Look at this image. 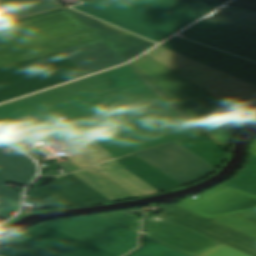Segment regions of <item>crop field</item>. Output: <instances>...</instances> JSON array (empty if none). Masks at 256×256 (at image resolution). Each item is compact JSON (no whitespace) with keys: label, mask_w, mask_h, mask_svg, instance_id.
<instances>
[{"label":"crop field","mask_w":256,"mask_h":256,"mask_svg":"<svg viewBox=\"0 0 256 256\" xmlns=\"http://www.w3.org/2000/svg\"><path fill=\"white\" fill-rule=\"evenodd\" d=\"M0 132L35 159L57 140L71 172L203 130L128 64L0 105Z\"/></svg>","instance_id":"crop-field-1"},{"label":"crop field","mask_w":256,"mask_h":256,"mask_svg":"<svg viewBox=\"0 0 256 256\" xmlns=\"http://www.w3.org/2000/svg\"><path fill=\"white\" fill-rule=\"evenodd\" d=\"M130 64L218 145H230L237 130L255 121L145 55Z\"/></svg>","instance_id":"crop-field-2"},{"label":"crop field","mask_w":256,"mask_h":256,"mask_svg":"<svg viewBox=\"0 0 256 256\" xmlns=\"http://www.w3.org/2000/svg\"><path fill=\"white\" fill-rule=\"evenodd\" d=\"M72 8L157 42L202 17L175 0H91Z\"/></svg>","instance_id":"crop-field-3"},{"label":"crop field","mask_w":256,"mask_h":256,"mask_svg":"<svg viewBox=\"0 0 256 256\" xmlns=\"http://www.w3.org/2000/svg\"><path fill=\"white\" fill-rule=\"evenodd\" d=\"M148 57L256 120V85L161 46Z\"/></svg>","instance_id":"crop-field-4"},{"label":"crop field","mask_w":256,"mask_h":256,"mask_svg":"<svg viewBox=\"0 0 256 256\" xmlns=\"http://www.w3.org/2000/svg\"><path fill=\"white\" fill-rule=\"evenodd\" d=\"M86 75L60 51L0 68V103Z\"/></svg>","instance_id":"crop-field-5"},{"label":"crop field","mask_w":256,"mask_h":256,"mask_svg":"<svg viewBox=\"0 0 256 256\" xmlns=\"http://www.w3.org/2000/svg\"><path fill=\"white\" fill-rule=\"evenodd\" d=\"M66 7L0 25V52L87 29Z\"/></svg>","instance_id":"crop-field-6"},{"label":"crop field","mask_w":256,"mask_h":256,"mask_svg":"<svg viewBox=\"0 0 256 256\" xmlns=\"http://www.w3.org/2000/svg\"><path fill=\"white\" fill-rule=\"evenodd\" d=\"M44 224L120 256L138 245L137 234L96 216L70 218Z\"/></svg>","instance_id":"crop-field-7"},{"label":"crop field","mask_w":256,"mask_h":256,"mask_svg":"<svg viewBox=\"0 0 256 256\" xmlns=\"http://www.w3.org/2000/svg\"><path fill=\"white\" fill-rule=\"evenodd\" d=\"M135 154L183 185L213 172L211 165L175 143Z\"/></svg>","instance_id":"crop-field-8"},{"label":"crop field","mask_w":256,"mask_h":256,"mask_svg":"<svg viewBox=\"0 0 256 256\" xmlns=\"http://www.w3.org/2000/svg\"><path fill=\"white\" fill-rule=\"evenodd\" d=\"M177 205L208 219L256 210V194L220 184Z\"/></svg>","instance_id":"crop-field-9"},{"label":"crop field","mask_w":256,"mask_h":256,"mask_svg":"<svg viewBox=\"0 0 256 256\" xmlns=\"http://www.w3.org/2000/svg\"><path fill=\"white\" fill-rule=\"evenodd\" d=\"M164 213L157 215L241 252L256 256V240L192 213L177 205H160Z\"/></svg>","instance_id":"crop-field-10"},{"label":"crop field","mask_w":256,"mask_h":256,"mask_svg":"<svg viewBox=\"0 0 256 256\" xmlns=\"http://www.w3.org/2000/svg\"><path fill=\"white\" fill-rule=\"evenodd\" d=\"M185 38L256 61V32L198 22L181 32Z\"/></svg>","instance_id":"crop-field-11"},{"label":"crop field","mask_w":256,"mask_h":256,"mask_svg":"<svg viewBox=\"0 0 256 256\" xmlns=\"http://www.w3.org/2000/svg\"><path fill=\"white\" fill-rule=\"evenodd\" d=\"M42 208L110 202L72 173L57 177L53 182L34 190Z\"/></svg>","instance_id":"crop-field-12"},{"label":"crop field","mask_w":256,"mask_h":256,"mask_svg":"<svg viewBox=\"0 0 256 256\" xmlns=\"http://www.w3.org/2000/svg\"><path fill=\"white\" fill-rule=\"evenodd\" d=\"M161 46L256 84V63L177 36L168 40Z\"/></svg>","instance_id":"crop-field-13"},{"label":"crop field","mask_w":256,"mask_h":256,"mask_svg":"<svg viewBox=\"0 0 256 256\" xmlns=\"http://www.w3.org/2000/svg\"><path fill=\"white\" fill-rule=\"evenodd\" d=\"M14 238L65 256H118L44 224Z\"/></svg>","instance_id":"crop-field-14"},{"label":"crop field","mask_w":256,"mask_h":256,"mask_svg":"<svg viewBox=\"0 0 256 256\" xmlns=\"http://www.w3.org/2000/svg\"><path fill=\"white\" fill-rule=\"evenodd\" d=\"M145 236L190 256L220 244L155 215L149 217Z\"/></svg>","instance_id":"crop-field-15"},{"label":"crop field","mask_w":256,"mask_h":256,"mask_svg":"<svg viewBox=\"0 0 256 256\" xmlns=\"http://www.w3.org/2000/svg\"><path fill=\"white\" fill-rule=\"evenodd\" d=\"M100 39L90 29L51 38L11 51L0 53V67L21 62L54 51Z\"/></svg>","instance_id":"crop-field-16"},{"label":"crop field","mask_w":256,"mask_h":256,"mask_svg":"<svg viewBox=\"0 0 256 256\" xmlns=\"http://www.w3.org/2000/svg\"><path fill=\"white\" fill-rule=\"evenodd\" d=\"M68 9L127 61L141 54L136 52L137 49L140 48L146 51L157 45L128 32L87 17L70 8Z\"/></svg>","instance_id":"crop-field-17"},{"label":"crop field","mask_w":256,"mask_h":256,"mask_svg":"<svg viewBox=\"0 0 256 256\" xmlns=\"http://www.w3.org/2000/svg\"><path fill=\"white\" fill-rule=\"evenodd\" d=\"M87 75L126 62L102 39L61 50Z\"/></svg>","instance_id":"crop-field-18"},{"label":"crop field","mask_w":256,"mask_h":256,"mask_svg":"<svg viewBox=\"0 0 256 256\" xmlns=\"http://www.w3.org/2000/svg\"><path fill=\"white\" fill-rule=\"evenodd\" d=\"M114 161L161 192L183 187L134 154Z\"/></svg>","instance_id":"crop-field-19"},{"label":"crop field","mask_w":256,"mask_h":256,"mask_svg":"<svg viewBox=\"0 0 256 256\" xmlns=\"http://www.w3.org/2000/svg\"><path fill=\"white\" fill-rule=\"evenodd\" d=\"M59 7L57 0H0V23Z\"/></svg>","instance_id":"crop-field-20"},{"label":"crop field","mask_w":256,"mask_h":256,"mask_svg":"<svg viewBox=\"0 0 256 256\" xmlns=\"http://www.w3.org/2000/svg\"><path fill=\"white\" fill-rule=\"evenodd\" d=\"M93 167L136 197L159 193L158 190L113 161Z\"/></svg>","instance_id":"crop-field-21"},{"label":"crop field","mask_w":256,"mask_h":256,"mask_svg":"<svg viewBox=\"0 0 256 256\" xmlns=\"http://www.w3.org/2000/svg\"><path fill=\"white\" fill-rule=\"evenodd\" d=\"M35 172L34 163L23 154L17 151L7 155L0 153V174L12 183L26 186Z\"/></svg>","instance_id":"crop-field-22"},{"label":"crop field","mask_w":256,"mask_h":256,"mask_svg":"<svg viewBox=\"0 0 256 256\" xmlns=\"http://www.w3.org/2000/svg\"><path fill=\"white\" fill-rule=\"evenodd\" d=\"M176 141L216 168L227 156L204 132Z\"/></svg>","instance_id":"crop-field-23"},{"label":"crop field","mask_w":256,"mask_h":256,"mask_svg":"<svg viewBox=\"0 0 256 256\" xmlns=\"http://www.w3.org/2000/svg\"><path fill=\"white\" fill-rule=\"evenodd\" d=\"M73 173L111 201L134 197L92 167Z\"/></svg>","instance_id":"crop-field-24"},{"label":"crop field","mask_w":256,"mask_h":256,"mask_svg":"<svg viewBox=\"0 0 256 256\" xmlns=\"http://www.w3.org/2000/svg\"><path fill=\"white\" fill-rule=\"evenodd\" d=\"M203 21L256 31V12L246 9L225 6L205 17Z\"/></svg>","instance_id":"crop-field-25"},{"label":"crop field","mask_w":256,"mask_h":256,"mask_svg":"<svg viewBox=\"0 0 256 256\" xmlns=\"http://www.w3.org/2000/svg\"><path fill=\"white\" fill-rule=\"evenodd\" d=\"M0 256H62L17 239L0 243Z\"/></svg>","instance_id":"crop-field-26"},{"label":"crop field","mask_w":256,"mask_h":256,"mask_svg":"<svg viewBox=\"0 0 256 256\" xmlns=\"http://www.w3.org/2000/svg\"><path fill=\"white\" fill-rule=\"evenodd\" d=\"M223 184L256 193V157L251 155L245 168Z\"/></svg>","instance_id":"crop-field-27"},{"label":"crop field","mask_w":256,"mask_h":256,"mask_svg":"<svg viewBox=\"0 0 256 256\" xmlns=\"http://www.w3.org/2000/svg\"><path fill=\"white\" fill-rule=\"evenodd\" d=\"M212 220L256 239V222L248 218L235 214Z\"/></svg>","instance_id":"crop-field-28"},{"label":"crop field","mask_w":256,"mask_h":256,"mask_svg":"<svg viewBox=\"0 0 256 256\" xmlns=\"http://www.w3.org/2000/svg\"><path fill=\"white\" fill-rule=\"evenodd\" d=\"M134 211H142L145 213V211L141 209H136V210L121 211V212H115V213H109V214H103V215H97V216L138 234L141 220L134 215L128 214V212H134Z\"/></svg>","instance_id":"crop-field-29"},{"label":"crop field","mask_w":256,"mask_h":256,"mask_svg":"<svg viewBox=\"0 0 256 256\" xmlns=\"http://www.w3.org/2000/svg\"><path fill=\"white\" fill-rule=\"evenodd\" d=\"M143 241L147 245L130 256H188L146 237Z\"/></svg>","instance_id":"crop-field-30"},{"label":"crop field","mask_w":256,"mask_h":256,"mask_svg":"<svg viewBox=\"0 0 256 256\" xmlns=\"http://www.w3.org/2000/svg\"><path fill=\"white\" fill-rule=\"evenodd\" d=\"M200 15H205L222 5L215 0H177Z\"/></svg>","instance_id":"crop-field-31"},{"label":"crop field","mask_w":256,"mask_h":256,"mask_svg":"<svg viewBox=\"0 0 256 256\" xmlns=\"http://www.w3.org/2000/svg\"><path fill=\"white\" fill-rule=\"evenodd\" d=\"M199 256H248V255L221 244Z\"/></svg>","instance_id":"crop-field-32"},{"label":"crop field","mask_w":256,"mask_h":256,"mask_svg":"<svg viewBox=\"0 0 256 256\" xmlns=\"http://www.w3.org/2000/svg\"><path fill=\"white\" fill-rule=\"evenodd\" d=\"M9 200L0 194V218L3 220L11 217V215H8L10 212H18L19 210V207H17L18 205L16 206L13 204L14 202L12 203Z\"/></svg>","instance_id":"crop-field-33"},{"label":"crop field","mask_w":256,"mask_h":256,"mask_svg":"<svg viewBox=\"0 0 256 256\" xmlns=\"http://www.w3.org/2000/svg\"><path fill=\"white\" fill-rule=\"evenodd\" d=\"M5 183H11L0 175V193L10 199L16 205L20 206L21 193L2 187Z\"/></svg>","instance_id":"crop-field-34"},{"label":"crop field","mask_w":256,"mask_h":256,"mask_svg":"<svg viewBox=\"0 0 256 256\" xmlns=\"http://www.w3.org/2000/svg\"><path fill=\"white\" fill-rule=\"evenodd\" d=\"M228 5L230 6H235V7H240V8H246V9H251L256 11V6L252 5H247V4H242V3H236V2H231Z\"/></svg>","instance_id":"crop-field-35"},{"label":"crop field","mask_w":256,"mask_h":256,"mask_svg":"<svg viewBox=\"0 0 256 256\" xmlns=\"http://www.w3.org/2000/svg\"><path fill=\"white\" fill-rule=\"evenodd\" d=\"M241 215L256 221V211H254V212H247V213H241Z\"/></svg>","instance_id":"crop-field-36"},{"label":"crop field","mask_w":256,"mask_h":256,"mask_svg":"<svg viewBox=\"0 0 256 256\" xmlns=\"http://www.w3.org/2000/svg\"><path fill=\"white\" fill-rule=\"evenodd\" d=\"M249 154L256 155V139L253 141V143L250 146Z\"/></svg>","instance_id":"crop-field-37"},{"label":"crop field","mask_w":256,"mask_h":256,"mask_svg":"<svg viewBox=\"0 0 256 256\" xmlns=\"http://www.w3.org/2000/svg\"><path fill=\"white\" fill-rule=\"evenodd\" d=\"M234 1L256 5V0H234Z\"/></svg>","instance_id":"crop-field-38"},{"label":"crop field","mask_w":256,"mask_h":256,"mask_svg":"<svg viewBox=\"0 0 256 256\" xmlns=\"http://www.w3.org/2000/svg\"><path fill=\"white\" fill-rule=\"evenodd\" d=\"M217 1H219L220 3H225V2H227V1H229V0H217Z\"/></svg>","instance_id":"crop-field-39"}]
</instances>
